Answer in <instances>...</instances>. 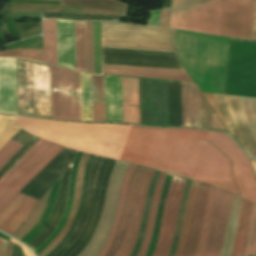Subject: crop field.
<instances>
[{"mask_svg":"<svg viewBox=\"0 0 256 256\" xmlns=\"http://www.w3.org/2000/svg\"><path fill=\"white\" fill-rule=\"evenodd\" d=\"M16 125L45 140L118 160L130 126L68 123L17 116ZM256 204V180L231 137L194 129L131 126L119 160L219 187Z\"/></svg>","mask_w":256,"mask_h":256,"instance_id":"8a807250","label":"crop field"},{"mask_svg":"<svg viewBox=\"0 0 256 256\" xmlns=\"http://www.w3.org/2000/svg\"><path fill=\"white\" fill-rule=\"evenodd\" d=\"M254 0H219L214 3L172 10V29L251 40Z\"/></svg>","mask_w":256,"mask_h":256,"instance_id":"ac0d7876","label":"crop field"},{"mask_svg":"<svg viewBox=\"0 0 256 256\" xmlns=\"http://www.w3.org/2000/svg\"><path fill=\"white\" fill-rule=\"evenodd\" d=\"M102 47L176 52L174 30L122 22H102Z\"/></svg>","mask_w":256,"mask_h":256,"instance_id":"34b2d1b8","label":"crop field"},{"mask_svg":"<svg viewBox=\"0 0 256 256\" xmlns=\"http://www.w3.org/2000/svg\"><path fill=\"white\" fill-rule=\"evenodd\" d=\"M52 118L81 120L80 73L51 65Z\"/></svg>","mask_w":256,"mask_h":256,"instance_id":"412701ff","label":"crop field"},{"mask_svg":"<svg viewBox=\"0 0 256 256\" xmlns=\"http://www.w3.org/2000/svg\"><path fill=\"white\" fill-rule=\"evenodd\" d=\"M204 94L222 122L224 123L225 121L231 136L250 156H256V142L242 110L239 98L229 95L212 94L222 114L223 121L212 95Z\"/></svg>","mask_w":256,"mask_h":256,"instance_id":"f4fd0767","label":"crop field"},{"mask_svg":"<svg viewBox=\"0 0 256 256\" xmlns=\"http://www.w3.org/2000/svg\"><path fill=\"white\" fill-rule=\"evenodd\" d=\"M140 124L169 126L168 81L139 79Z\"/></svg>","mask_w":256,"mask_h":256,"instance_id":"dd49c442","label":"crop field"},{"mask_svg":"<svg viewBox=\"0 0 256 256\" xmlns=\"http://www.w3.org/2000/svg\"><path fill=\"white\" fill-rule=\"evenodd\" d=\"M153 170L142 168L132 198L127 226L114 256H129L138 235L141 216Z\"/></svg>","mask_w":256,"mask_h":256,"instance_id":"e52e79f7","label":"crop field"},{"mask_svg":"<svg viewBox=\"0 0 256 256\" xmlns=\"http://www.w3.org/2000/svg\"><path fill=\"white\" fill-rule=\"evenodd\" d=\"M185 180L186 179L184 178L176 176L173 177L165 203L159 242L156 246L153 256H168Z\"/></svg>","mask_w":256,"mask_h":256,"instance_id":"d8731c3e","label":"crop field"},{"mask_svg":"<svg viewBox=\"0 0 256 256\" xmlns=\"http://www.w3.org/2000/svg\"><path fill=\"white\" fill-rule=\"evenodd\" d=\"M56 144L40 139L0 178V200L37 164Z\"/></svg>","mask_w":256,"mask_h":256,"instance_id":"5a996713","label":"crop field"},{"mask_svg":"<svg viewBox=\"0 0 256 256\" xmlns=\"http://www.w3.org/2000/svg\"><path fill=\"white\" fill-rule=\"evenodd\" d=\"M231 194L218 189L203 256H219L226 228Z\"/></svg>","mask_w":256,"mask_h":256,"instance_id":"3316defc","label":"crop field"},{"mask_svg":"<svg viewBox=\"0 0 256 256\" xmlns=\"http://www.w3.org/2000/svg\"><path fill=\"white\" fill-rule=\"evenodd\" d=\"M0 112L17 114L16 59L0 58Z\"/></svg>","mask_w":256,"mask_h":256,"instance_id":"28ad6ade","label":"crop field"},{"mask_svg":"<svg viewBox=\"0 0 256 256\" xmlns=\"http://www.w3.org/2000/svg\"><path fill=\"white\" fill-rule=\"evenodd\" d=\"M36 204L37 201L18 193L0 210V230L12 235Z\"/></svg>","mask_w":256,"mask_h":256,"instance_id":"d1516ede","label":"crop field"},{"mask_svg":"<svg viewBox=\"0 0 256 256\" xmlns=\"http://www.w3.org/2000/svg\"><path fill=\"white\" fill-rule=\"evenodd\" d=\"M210 187L211 186L209 185H205L201 183H199L198 185V189H197V193H196V197L193 205L189 230L186 237L184 252L182 256L195 255L199 234H200V229H201L202 218H203L206 200H207Z\"/></svg>","mask_w":256,"mask_h":256,"instance_id":"22f410ed","label":"crop field"},{"mask_svg":"<svg viewBox=\"0 0 256 256\" xmlns=\"http://www.w3.org/2000/svg\"><path fill=\"white\" fill-rule=\"evenodd\" d=\"M182 126L200 128L199 88L181 82Z\"/></svg>","mask_w":256,"mask_h":256,"instance_id":"cbeb9de0","label":"crop field"},{"mask_svg":"<svg viewBox=\"0 0 256 256\" xmlns=\"http://www.w3.org/2000/svg\"><path fill=\"white\" fill-rule=\"evenodd\" d=\"M58 65L74 69L73 22L57 20Z\"/></svg>","mask_w":256,"mask_h":256,"instance_id":"5142ce71","label":"crop field"},{"mask_svg":"<svg viewBox=\"0 0 256 256\" xmlns=\"http://www.w3.org/2000/svg\"><path fill=\"white\" fill-rule=\"evenodd\" d=\"M106 121L122 122L121 78L105 76Z\"/></svg>","mask_w":256,"mask_h":256,"instance_id":"d9b57169","label":"crop field"},{"mask_svg":"<svg viewBox=\"0 0 256 256\" xmlns=\"http://www.w3.org/2000/svg\"><path fill=\"white\" fill-rule=\"evenodd\" d=\"M11 5H14L13 10H19V11H39V12L78 13V14L117 15V16H126L127 14V12H120V11H107V10L75 8V7H65V6L19 4V3H12Z\"/></svg>","mask_w":256,"mask_h":256,"instance_id":"733c2abd","label":"crop field"},{"mask_svg":"<svg viewBox=\"0 0 256 256\" xmlns=\"http://www.w3.org/2000/svg\"><path fill=\"white\" fill-rule=\"evenodd\" d=\"M252 203L242 199L239 221L231 256H243L249 228Z\"/></svg>","mask_w":256,"mask_h":256,"instance_id":"4a817a6b","label":"crop field"},{"mask_svg":"<svg viewBox=\"0 0 256 256\" xmlns=\"http://www.w3.org/2000/svg\"><path fill=\"white\" fill-rule=\"evenodd\" d=\"M81 155H82V153L78 152V154L75 156L74 161H73L71 174H70L68 202H67V206L64 211L63 217H62L58 227L55 229V231L34 251V253L36 255L39 254L41 251H43L51 243V241L62 231L63 227L65 226V224L68 220L72 202H73L75 179H76L77 169H78Z\"/></svg>","mask_w":256,"mask_h":256,"instance_id":"bc2a9ffb","label":"crop field"},{"mask_svg":"<svg viewBox=\"0 0 256 256\" xmlns=\"http://www.w3.org/2000/svg\"><path fill=\"white\" fill-rule=\"evenodd\" d=\"M94 155H89L88 159H87V163H86V168H85V172H84V180H83V187H82V192H81V198H80V204H79V208L77 211V214L74 218V221L67 233V235L59 242V244L46 256H54L59 249L68 241V239L71 237L72 233L74 232L80 218L81 215L83 213V209H84V205H85V199H86V191H87V185H88V180H89V174H90V170L93 166L94 160H95Z\"/></svg>","mask_w":256,"mask_h":256,"instance_id":"214f88e0","label":"crop field"},{"mask_svg":"<svg viewBox=\"0 0 256 256\" xmlns=\"http://www.w3.org/2000/svg\"><path fill=\"white\" fill-rule=\"evenodd\" d=\"M44 61L57 65L56 20H43Z\"/></svg>","mask_w":256,"mask_h":256,"instance_id":"92a150f3","label":"crop field"},{"mask_svg":"<svg viewBox=\"0 0 256 256\" xmlns=\"http://www.w3.org/2000/svg\"><path fill=\"white\" fill-rule=\"evenodd\" d=\"M134 167H135L134 165L130 164L129 168L123 178L121 189H120L118 208H117V211H116V214L114 217L112 228H111V231L107 238V241L105 243V246L98 256H105L106 252L108 251V249L110 248V246L114 240L116 229L120 222V218H121V214H122V210H123V206H124V202H125V198H126L128 182L130 180V177H131Z\"/></svg>","mask_w":256,"mask_h":256,"instance_id":"dafd665d","label":"crop field"},{"mask_svg":"<svg viewBox=\"0 0 256 256\" xmlns=\"http://www.w3.org/2000/svg\"><path fill=\"white\" fill-rule=\"evenodd\" d=\"M240 202V198L232 195L228 216L227 231L220 256H230L234 240L238 213L240 209Z\"/></svg>","mask_w":256,"mask_h":256,"instance_id":"00972430","label":"crop field"},{"mask_svg":"<svg viewBox=\"0 0 256 256\" xmlns=\"http://www.w3.org/2000/svg\"><path fill=\"white\" fill-rule=\"evenodd\" d=\"M61 177H62V175L53 185L51 194L49 196V199L46 204V208H45V211H44L42 217L40 218L38 223L33 227V229L20 240V241L24 242L25 244L28 245L42 231L46 222L48 221V219L53 211L55 202H56Z\"/></svg>","mask_w":256,"mask_h":256,"instance_id":"a9b5d70f","label":"crop field"},{"mask_svg":"<svg viewBox=\"0 0 256 256\" xmlns=\"http://www.w3.org/2000/svg\"><path fill=\"white\" fill-rule=\"evenodd\" d=\"M93 121H105L104 76L92 75Z\"/></svg>","mask_w":256,"mask_h":256,"instance_id":"4177f3b9","label":"crop field"},{"mask_svg":"<svg viewBox=\"0 0 256 256\" xmlns=\"http://www.w3.org/2000/svg\"><path fill=\"white\" fill-rule=\"evenodd\" d=\"M75 69L86 72L85 22H74Z\"/></svg>","mask_w":256,"mask_h":256,"instance_id":"730fd06b","label":"crop field"},{"mask_svg":"<svg viewBox=\"0 0 256 256\" xmlns=\"http://www.w3.org/2000/svg\"><path fill=\"white\" fill-rule=\"evenodd\" d=\"M140 169H141V167H139V166H136L135 169H134L133 175H132L131 180L129 182L126 203H125V207H124L121 222L118 226L116 238H115V241H114L112 247L107 252L106 256H113L117 247H118V245H119V243H120V241H121L122 234H123L124 228L126 226V222H127L128 211H129V206H130V202H131L132 193H133V190H134V187H135Z\"/></svg>","mask_w":256,"mask_h":256,"instance_id":"eef30255","label":"crop field"},{"mask_svg":"<svg viewBox=\"0 0 256 256\" xmlns=\"http://www.w3.org/2000/svg\"><path fill=\"white\" fill-rule=\"evenodd\" d=\"M63 147L56 146L39 164H37L1 201L0 209L19 192L44 166H46Z\"/></svg>","mask_w":256,"mask_h":256,"instance_id":"ae1a2a85","label":"crop field"},{"mask_svg":"<svg viewBox=\"0 0 256 256\" xmlns=\"http://www.w3.org/2000/svg\"><path fill=\"white\" fill-rule=\"evenodd\" d=\"M60 5L127 11L128 5L113 0H61Z\"/></svg>","mask_w":256,"mask_h":256,"instance_id":"d3111659","label":"crop field"},{"mask_svg":"<svg viewBox=\"0 0 256 256\" xmlns=\"http://www.w3.org/2000/svg\"><path fill=\"white\" fill-rule=\"evenodd\" d=\"M159 174H160L159 172L155 171L154 175H153V178L151 180L149 190H148L147 199H146V204H145V208H144V212H143V216H142L139 235H138V238L136 240V243H135V245L132 249V252H131L130 256H137V254L139 252V249L141 247L142 239H143V236H144V233H145L147 220H148V216H149L152 197H153V193H154V190H155V186H156Z\"/></svg>","mask_w":256,"mask_h":256,"instance_id":"750c4746","label":"crop field"},{"mask_svg":"<svg viewBox=\"0 0 256 256\" xmlns=\"http://www.w3.org/2000/svg\"><path fill=\"white\" fill-rule=\"evenodd\" d=\"M165 175L166 174L162 173L161 176H160V179L158 181V184H157V187H156V190H155V194H154V198H153V202H152V206H151V211H150V217H149L147 230H146L144 240H143V243H142V247H141V250H140L138 256H144L145 255L148 244L150 242L152 231H153V226H154L157 204H158V200H159V195H160V191H161V188H162V184H163Z\"/></svg>","mask_w":256,"mask_h":256,"instance_id":"bd1437ed","label":"crop field"},{"mask_svg":"<svg viewBox=\"0 0 256 256\" xmlns=\"http://www.w3.org/2000/svg\"><path fill=\"white\" fill-rule=\"evenodd\" d=\"M172 177H173L172 175H168V174L166 176L165 184L163 186L161 196H160L159 207H158V211H157V215H156L153 237H152V241H151V243L148 247L146 256H152L153 251L155 249V246L158 242V234H159V229H160V224H161V219H162L163 207H164L166 195H167Z\"/></svg>","mask_w":256,"mask_h":256,"instance_id":"1d83c4d3","label":"crop field"},{"mask_svg":"<svg viewBox=\"0 0 256 256\" xmlns=\"http://www.w3.org/2000/svg\"><path fill=\"white\" fill-rule=\"evenodd\" d=\"M32 135L22 131L21 129L16 133L12 140L24 145ZM10 140L1 150H0V167L10 159L21 147L22 145Z\"/></svg>","mask_w":256,"mask_h":256,"instance_id":"120bbe31","label":"crop field"},{"mask_svg":"<svg viewBox=\"0 0 256 256\" xmlns=\"http://www.w3.org/2000/svg\"><path fill=\"white\" fill-rule=\"evenodd\" d=\"M82 120L92 121L91 75L81 73Z\"/></svg>","mask_w":256,"mask_h":256,"instance_id":"d32e631a","label":"crop field"},{"mask_svg":"<svg viewBox=\"0 0 256 256\" xmlns=\"http://www.w3.org/2000/svg\"><path fill=\"white\" fill-rule=\"evenodd\" d=\"M191 182H192L191 180H188V179L186 180V184L184 187V191H183V195H182V199H181V203H180L178 220H177V224H176V230H175V234H174V238H173L169 256L175 255V251L177 248V244H178V240H179V236H180V232H181V228H182V224H183L185 206H186V201H187Z\"/></svg>","mask_w":256,"mask_h":256,"instance_id":"5866460e","label":"crop field"},{"mask_svg":"<svg viewBox=\"0 0 256 256\" xmlns=\"http://www.w3.org/2000/svg\"><path fill=\"white\" fill-rule=\"evenodd\" d=\"M197 184H198V182L193 181L192 185H191V189H190V193H189V197H188V201H187V206H186L183 229H182L181 237L179 240L176 256L182 255V249L184 246L185 236H186V232H187V228H188V224H189V220H190V215H191V210H192V205H193V201H194V197H195Z\"/></svg>","mask_w":256,"mask_h":256,"instance_id":"028f5c9d","label":"crop field"},{"mask_svg":"<svg viewBox=\"0 0 256 256\" xmlns=\"http://www.w3.org/2000/svg\"><path fill=\"white\" fill-rule=\"evenodd\" d=\"M216 189L217 188L212 186V189L209 193V197H208V201H207V205H206V210H205V214H204V219H203L201 237H200V241H199L196 256H202V252H203V248H204V244H205V240H206V234H207V229H208V225H209V219H210L211 212H212L213 200H214V195L216 193Z\"/></svg>","mask_w":256,"mask_h":256,"instance_id":"e1f06a70","label":"crop field"},{"mask_svg":"<svg viewBox=\"0 0 256 256\" xmlns=\"http://www.w3.org/2000/svg\"><path fill=\"white\" fill-rule=\"evenodd\" d=\"M130 123L139 124L138 79L129 78Z\"/></svg>","mask_w":256,"mask_h":256,"instance_id":"0bd39190","label":"crop field"},{"mask_svg":"<svg viewBox=\"0 0 256 256\" xmlns=\"http://www.w3.org/2000/svg\"><path fill=\"white\" fill-rule=\"evenodd\" d=\"M15 116L0 115V148L19 130L12 125Z\"/></svg>","mask_w":256,"mask_h":256,"instance_id":"b80d0937","label":"crop field"},{"mask_svg":"<svg viewBox=\"0 0 256 256\" xmlns=\"http://www.w3.org/2000/svg\"><path fill=\"white\" fill-rule=\"evenodd\" d=\"M103 74L192 81L189 76L103 70Z\"/></svg>","mask_w":256,"mask_h":256,"instance_id":"c035e120","label":"crop field"},{"mask_svg":"<svg viewBox=\"0 0 256 256\" xmlns=\"http://www.w3.org/2000/svg\"><path fill=\"white\" fill-rule=\"evenodd\" d=\"M256 250V205L253 204L250 230L244 256H254ZM256 256V254H255Z\"/></svg>","mask_w":256,"mask_h":256,"instance_id":"c21b1889","label":"crop field"},{"mask_svg":"<svg viewBox=\"0 0 256 256\" xmlns=\"http://www.w3.org/2000/svg\"><path fill=\"white\" fill-rule=\"evenodd\" d=\"M256 140V99L239 97Z\"/></svg>","mask_w":256,"mask_h":256,"instance_id":"03da06ac","label":"crop field"},{"mask_svg":"<svg viewBox=\"0 0 256 256\" xmlns=\"http://www.w3.org/2000/svg\"><path fill=\"white\" fill-rule=\"evenodd\" d=\"M0 56L30 58L43 62V49H18L0 52Z\"/></svg>","mask_w":256,"mask_h":256,"instance_id":"b54c1fbb","label":"crop field"},{"mask_svg":"<svg viewBox=\"0 0 256 256\" xmlns=\"http://www.w3.org/2000/svg\"><path fill=\"white\" fill-rule=\"evenodd\" d=\"M95 73L101 74L100 23L93 22Z\"/></svg>","mask_w":256,"mask_h":256,"instance_id":"5d738f31","label":"crop field"},{"mask_svg":"<svg viewBox=\"0 0 256 256\" xmlns=\"http://www.w3.org/2000/svg\"><path fill=\"white\" fill-rule=\"evenodd\" d=\"M87 72L94 73L92 22H86Z\"/></svg>","mask_w":256,"mask_h":256,"instance_id":"d23c7cc5","label":"crop field"},{"mask_svg":"<svg viewBox=\"0 0 256 256\" xmlns=\"http://www.w3.org/2000/svg\"><path fill=\"white\" fill-rule=\"evenodd\" d=\"M103 69L188 75L186 71H179V70H165V69H151V68H137V67H123V66H109V65H103Z\"/></svg>","mask_w":256,"mask_h":256,"instance_id":"425ffa30","label":"crop field"},{"mask_svg":"<svg viewBox=\"0 0 256 256\" xmlns=\"http://www.w3.org/2000/svg\"><path fill=\"white\" fill-rule=\"evenodd\" d=\"M123 122L129 123L128 78H122Z\"/></svg>","mask_w":256,"mask_h":256,"instance_id":"25e5ab78","label":"crop field"},{"mask_svg":"<svg viewBox=\"0 0 256 256\" xmlns=\"http://www.w3.org/2000/svg\"><path fill=\"white\" fill-rule=\"evenodd\" d=\"M213 0H172L171 7H184V6H192L197 4H202L204 2H210Z\"/></svg>","mask_w":256,"mask_h":256,"instance_id":"73cf0c24","label":"crop field"},{"mask_svg":"<svg viewBox=\"0 0 256 256\" xmlns=\"http://www.w3.org/2000/svg\"><path fill=\"white\" fill-rule=\"evenodd\" d=\"M170 10H161L157 26L169 28Z\"/></svg>","mask_w":256,"mask_h":256,"instance_id":"89e229c0","label":"crop field"},{"mask_svg":"<svg viewBox=\"0 0 256 256\" xmlns=\"http://www.w3.org/2000/svg\"><path fill=\"white\" fill-rule=\"evenodd\" d=\"M205 112H206V127H212V113H214V111L206 99H205Z\"/></svg>","mask_w":256,"mask_h":256,"instance_id":"1f2cbd36","label":"crop field"},{"mask_svg":"<svg viewBox=\"0 0 256 256\" xmlns=\"http://www.w3.org/2000/svg\"><path fill=\"white\" fill-rule=\"evenodd\" d=\"M8 16L40 17V13L10 11Z\"/></svg>","mask_w":256,"mask_h":256,"instance_id":"dbb93151","label":"crop field"},{"mask_svg":"<svg viewBox=\"0 0 256 256\" xmlns=\"http://www.w3.org/2000/svg\"><path fill=\"white\" fill-rule=\"evenodd\" d=\"M252 40H256V0L254 4Z\"/></svg>","mask_w":256,"mask_h":256,"instance_id":"0fb4a251","label":"crop field"},{"mask_svg":"<svg viewBox=\"0 0 256 256\" xmlns=\"http://www.w3.org/2000/svg\"><path fill=\"white\" fill-rule=\"evenodd\" d=\"M23 252L21 250V248L17 245L13 246V252L11 256H22Z\"/></svg>","mask_w":256,"mask_h":256,"instance_id":"1d79db26","label":"crop field"},{"mask_svg":"<svg viewBox=\"0 0 256 256\" xmlns=\"http://www.w3.org/2000/svg\"><path fill=\"white\" fill-rule=\"evenodd\" d=\"M6 243H7V241L0 238V256L4 255Z\"/></svg>","mask_w":256,"mask_h":256,"instance_id":"9d1cf04e","label":"crop field"},{"mask_svg":"<svg viewBox=\"0 0 256 256\" xmlns=\"http://www.w3.org/2000/svg\"><path fill=\"white\" fill-rule=\"evenodd\" d=\"M10 241H12V242H14V243L20 245V246L22 247V249L24 250L25 256H33L32 253H31L27 248H25L24 246H22L21 244H19L17 241H15V240H13V239H11V238H10Z\"/></svg>","mask_w":256,"mask_h":256,"instance_id":"447ae74e","label":"crop field"},{"mask_svg":"<svg viewBox=\"0 0 256 256\" xmlns=\"http://www.w3.org/2000/svg\"><path fill=\"white\" fill-rule=\"evenodd\" d=\"M12 245H13V243L8 242V245H7V249H6L5 256H10V255H11Z\"/></svg>","mask_w":256,"mask_h":256,"instance_id":"0765c3eb","label":"crop field"},{"mask_svg":"<svg viewBox=\"0 0 256 256\" xmlns=\"http://www.w3.org/2000/svg\"><path fill=\"white\" fill-rule=\"evenodd\" d=\"M256 176V158H250Z\"/></svg>","mask_w":256,"mask_h":256,"instance_id":"db79e9e6","label":"crop field"},{"mask_svg":"<svg viewBox=\"0 0 256 256\" xmlns=\"http://www.w3.org/2000/svg\"><path fill=\"white\" fill-rule=\"evenodd\" d=\"M24 256V255H23Z\"/></svg>","mask_w":256,"mask_h":256,"instance_id":"7b73153f","label":"crop field"}]
</instances>
